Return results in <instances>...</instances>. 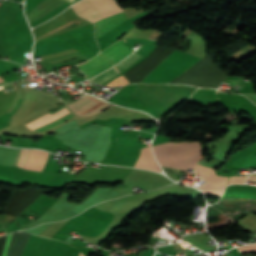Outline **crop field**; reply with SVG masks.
I'll use <instances>...</instances> for the list:
<instances>
[{
	"instance_id": "22f410ed",
	"label": "crop field",
	"mask_w": 256,
	"mask_h": 256,
	"mask_svg": "<svg viewBox=\"0 0 256 256\" xmlns=\"http://www.w3.org/2000/svg\"><path fill=\"white\" fill-rule=\"evenodd\" d=\"M143 55H139V54H135L133 53L132 55H130L128 58H126L125 60H123L121 63H119L117 66V68L121 71H123L124 69H126L127 67L131 66L132 64H134L135 62H137L140 58H142Z\"/></svg>"
},
{
	"instance_id": "ac0d7876",
	"label": "crop field",
	"mask_w": 256,
	"mask_h": 256,
	"mask_svg": "<svg viewBox=\"0 0 256 256\" xmlns=\"http://www.w3.org/2000/svg\"><path fill=\"white\" fill-rule=\"evenodd\" d=\"M92 3L99 9V11L104 14L109 11L119 9L120 6L116 3L115 0H91ZM90 0H82L76 3L73 7L75 12L88 19H92L101 13L98 9L91 3Z\"/></svg>"
},
{
	"instance_id": "733c2abd",
	"label": "crop field",
	"mask_w": 256,
	"mask_h": 256,
	"mask_svg": "<svg viewBox=\"0 0 256 256\" xmlns=\"http://www.w3.org/2000/svg\"><path fill=\"white\" fill-rule=\"evenodd\" d=\"M12 234H8L7 237H6V241H5V244H4L2 256H6V254H7V250H8V246H9Z\"/></svg>"
},
{
	"instance_id": "5a996713",
	"label": "crop field",
	"mask_w": 256,
	"mask_h": 256,
	"mask_svg": "<svg viewBox=\"0 0 256 256\" xmlns=\"http://www.w3.org/2000/svg\"><path fill=\"white\" fill-rule=\"evenodd\" d=\"M134 166L162 172L153 156L150 146L141 149L140 156Z\"/></svg>"
},
{
	"instance_id": "00972430",
	"label": "crop field",
	"mask_w": 256,
	"mask_h": 256,
	"mask_svg": "<svg viewBox=\"0 0 256 256\" xmlns=\"http://www.w3.org/2000/svg\"><path fill=\"white\" fill-rule=\"evenodd\" d=\"M69 112H71L70 110H68Z\"/></svg>"
},
{
	"instance_id": "bc2a9ffb",
	"label": "crop field",
	"mask_w": 256,
	"mask_h": 256,
	"mask_svg": "<svg viewBox=\"0 0 256 256\" xmlns=\"http://www.w3.org/2000/svg\"><path fill=\"white\" fill-rule=\"evenodd\" d=\"M249 181H255L256 182V175L255 174H252L249 178H248Z\"/></svg>"
},
{
	"instance_id": "214f88e0",
	"label": "crop field",
	"mask_w": 256,
	"mask_h": 256,
	"mask_svg": "<svg viewBox=\"0 0 256 256\" xmlns=\"http://www.w3.org/2000/svg\"><path fill=\"white\" fill-rule=\"evenodd\" d=\"M67 1H69V3H71V2H73V1H75V0H67Z\"/></svg>"
},
{
	"instance_id": "e52e79f7",
	"label": "crop field",
	"mask_w": 256,
	"mask_h": 256,
	"mask_svg": "<svg viewBox=\"0 0 256 256\" xmlns=\"http://www.w3.org/2000/svg\"><path fill=\"white\" fill-rule=\"evenodd\" d=\"M127 17L124 15V13L115 15L110 18L103 19L97 23H95V37L96 39L100 36L104 35L111 29L118 26L120 23H122L124 20H126Z\"/></svg>"
},
{
	"instance_id": "dafd665d",
	"label": "crop field",
	"mask_w": 256,
	"mask_h": 256,
	"mask_svg": "<svg viewBox=\"0 0 256 256\" xmlns=\"http://www.w3.org/2000/svg\"><path fill=\"white\" fill-rule=\"evenodd\" d=\"M3 80L0 78V82H2Z\"/></svg>"
},
{
	"instance_id": "5142ce71",
	"label": "crop field",
	"mask_w": 256,
	"mask_h": 256,
	"mask_svg": "<svg viewBox=\"0 0 256 256\" xmlns=\"http://www.w3.org/2000/svg\"><path fill=\"white\" fill-rule=\"evenodd\" d=\"M125 83H129V82L121 75L118 78H116L115 80L108 83L107 85H121V84H125Z\"/></svg>"
},
{
	"instance_id": "f4fd0767",
	"label": "crop field",
	"mask_w": 256,
	"mask_h": 256,
	"mask_svg": "<svg viewBox=\"0 0 256 256\" xmlns=\"http://www.w3.org/2000/svg\"><path fill=\"white\" fill-rule=\"evenodd\" d=\"M113 216L106 211H99L81 234L88 237L98 236L105 230Z\"/></svg>"
},
{
	"instance_id": "d8731c3e",
	"label": "crop field",
	"mask_w": 256,
	"mask_h": 256,
	"mask_svg": "<svg viewBox=\"0 0 256 256\" xmlns=\"http://www.w3.org/2000/svg\"><path fill=\"white\" fill-rule=\"evenodd\" d=\"M132 51L128 49L124 44H122L120 41L113 44L109 48H107L105 51L101 52L107 59H109L114 64L126 57L128 54H130Z\"/></svg>"
},
{
	"instance_id": "dd49c442",
	"label": "crop field",
	"mask_w": 256,
	"mask_h": 256,
	"mask_svg": "<svg viewBox=\"0 0 256 256\" xmlns=\"http://www.w3.org/2000/svg\"><path fill=\"white\" fill-rule=\"evenodd\" d=\"M111 66L113 65L100 54L96 55L93 59L79 65V67L87 73V80Z\"/></svg>"
},
{
	"instance_id": "92a150f3",
	"label": "crop field",
	"mask_w": 256,
	"mask_h": 256,
	"mask_svg": "<svg viewBox=\"0 0 256 256\" xmlns=\"http://www.w3.org/2000/svg\"><path fill=\"white\" fill-rule=\"evenodd\" d=\"M79 256H84V255H82V254L80 253Z\"/></svg>"
},
{
	"instance_id": "d9b57169",
	"label": "crop field",
	"mask_w": 256,
	"mask_h": 256,
	"mask_svg": "<svg viewBox=\"0 0 256 256\" xmlns=\"http://www.w3.org/2000/svg\"><path fill=\"white\" fill-rule=\"evenodd\" d=\"M238 249H239L240 253L256 252V245L240 247Z\"/></svg>"
},
{
	"instance_id": "cbeb9de0",
	"label": "crop field",
	"mask_w": 256,
	"mask_h": 256,
	"mask_svg": "<svg viewBox=\"0 0 256 256\" xmlns=\"http://www.w3.org/2000/svg\"><path fill=\"white\" fill-rule=\"evenodd\" d=\"M71 117H73L72 114L67 115V116H65V117H63V118H61V119H59V120H57V121H55V122H53V123H51V124L45 126V127H42V128H40V129H38V130H35V131L43 132V131H45V130H47V129H49V128H51V127H53V126H55V125H57V124H59V123H62V122H64V121L68 120V119L71 118Z\"/></svg>"
},
{
	"instance_id": "34b2d1b8",
	"label": "crop field",
	"mask_w": 256,
	"mask_h": 256,
	"mask_svg": "<svg viewBox=\"0 0 256 256\" xmlns=\"http://www.w3.org/2000/svg\"><path fill=\"white\" fill-rule=\"evenodd\" d=\"M197 175L207 181L197 186L204 194L221 195L229 177L216 176L214 169L197 165Z\"/></svg>"
},
{
	"instance_id": "3316defc",
	"label": "crop field",
	"mask_w": 256,
	"mask_h": 256,
	"mask_svg": "<svg viewBox=\"0 0 256 256\" xmlns=\"http://www.w3.org/2000/svg\"><path fill=\"white\" fill-rule=\"evenodd\" d=\"M47 152L31 149L28 162L24 169L41 171L48 157Z\"/></svg>"
},
{
	"instance_id": "d1516ede",
	"label": "crop field",
	"mask_w": 256,
	"mask_h": 256,
	"mask_svg": "<svg viewBox=\"0 0 256 256\" xmlns=\"http://www.w3.org/2000/svg\"><path fill=\"white\" fill-rule=\"evenodd\" d=\"M115 67V66H114ZM111 68V69H109V70H107V71H105V72H103L102 74H100V75H98V76H96V77H94L93 79H91V80H89V81H91V82H95V83H99V84H102V83H104V82H106V81H108L109 79H111L112 77H114L115 75H117V74H119L117 71H116V69L115 68Z\"/></svg>"
},
{
	"instance_id": "8a807250",
	"label": "crop field",
	"mask_w": 256,
	"mask_h": 256,
	"mask_svg": "<svg viewBox=\"0 0 256 256\" xmlns=\"http://www.w3.org/2000/svg\"><path fill=\"white\" fill-rule=\"evenodd\" d=\"M153 149L160 165L184 171L194 169L200 155L199 142H168Z\"/></svg>"
},
{
	"instance_id": "412701ff",
	"label": "crop field",
	"mask_w": 256,
	"mask_h": 256,
	"mask_svg": "<svg viewBox=\"0 0 256 256\" xmlns=\"http://www.w3.org/2000/svg\"><path fill=\"white\" fill-rule=\"evenodd\" d=\"M110 104L94 98L88 94L83 96L81 99L75 101L74 103L68 105L69 108L76 114L81 116H91Z\"/></svg>"
},
{
	"instance_id": "28ad6ade",
	"label": "crop field",
	"mask_w": 256,
	"mask_h": 256,
	"mask_svg": "<svg viewBox=\"0 0 256 256\" xmlns=\"http://www.w3.org/2000/svg\"><path fill=\"white\" fill-rule=\"evenodd\" d=\"M19 151L20 150L17 149H9L0 146V163L14 166L18 159Z\"/></svg>"
},
{
	"instance_id": "4a817a6b",
	"label": "crop field",
	"mask_w": 256,
	"mask_h": 256,
	"mask_svg": "<svg viewBox=\"0 0 256 256\" xmlns=\"http://www.w3.org/2000/svg\"><path fill=\"white\" fill-rule=\"evenodd\" d=\"M246 180V176H242V177H231L229 184L231 183H245Z\"/></svg>"
}]
</instances>
